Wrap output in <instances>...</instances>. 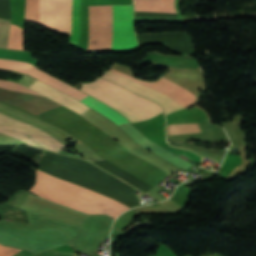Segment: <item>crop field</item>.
Masks as SVG:
<instances>
[{
  "label": "crop field",
  "mask_w": 256,
  "mask_h": 256,
  "mask_svg": "<svg viewBox=\"0 0 256 256\" xmlns=\"http://www.w3.org/2000/svg\"><path fill=\"white\" fill-rule=\"evenodd\" d=\"M139 48L133 27V5L90 6L89 50Z\"/></svg>",
  "instance_id": "1"
},
{
  "label": "crop field",
  "mask_w": 256,
  "mask_h": 256,
  "mask_svg": "<svg viewBox=\"0 0 256 256\" xmlns=\"http://www.w3.org/2000/svg\"><path fill=\"white\" fill-rule=\"evenodd\" d=\"M29 191L87 214L107 213L115 218L129 209L99 193L39 170L36 171V184Z\"/></svg>",
  "instance_id": "2"
},
{
  "label": "crop field",
  "mask_w": 256,
  "mask_h": 256,
  "mask_svg": "<svg viewBox=\"0 0 256 256\" xmlns=\"http://www.w3.org/2000/svg\"><path fill=\"white\" fill-rule=\"evenodd\" d=\"M82 91L117 109L131 122L150 119L163 113L156 103L138 97L100 78L91 83L83 84Z\"/></svg>",
  "instance_id": "3"
},
{
  "label": "crop field",
  "mask_w": 256,
  "mask_h": 256,
  "mask_svg": "<svg viewBox=\"0 0 256 256\" xmlns=\"http://www.w3.org/2000/svg\"><path fill=\"white\" fill-rule=\"evenodd\" d=\"M0 68L14 69V70H18V71L27 73L35 78H38V79L46 82V84L51 85L61 91L63 89H65L67 86H69V85H67V84H65V83L45 74V73L38 71L39 69L37 70L33 66L26 64V63L0 60ZM63 92L71 95L72 97H74L76 99L81 100L86 105L90 106L91 108H93V109L97 110L98 112H100L101 114L105 115L106 117H108L109 119H111L112 121L117 123L118 125L129 122L127 119H125V117H123L121 114L117 113L110 107L92 99L93 97L91 98L88 95H86L70 86L68 88H66Z\"/></svg>",
  "instance_id": "4"
},
{
  "label": "crop field",
  "mask_w": 256,
  "mask_h": 256,
  "mask_svg": "<svg viewBox=\"0 0 256 256\" xmlns=\"http://www.w3.org/2000/svg\"><path fill=\"white\" fill-rule=\"evenodd\" d=\"M0 133L59 153L65 146L48 134L0 113Z\"/></svg>",
  "instance_id": "5"
},
{
  "label": "crop field",
  "mask_w": 256,
  "mask_h": 256,
  "mask_svg": "<svg viewBox=\"0 0 256 256\" xmlns=\"http://www.w3.org/2000/svg\"><path fill=\"white\" fill-rule=\"evenodd\" d=\"M0 86L35 93L21 85L14 84L8 81H0ZM3 87H0V101H4L17 108L24 109L34 115H37L39 113H42L52 108L60 106L56 102L46 97L31 94V93L21 92L17 90L7 89Z\"/></svg>",
  "instance_id": "6"
},
{
  "label": "crop field",
  "mask_w": 256,
  "mask_h": 256,
  "mask_svg": "<svg viewBox=\"0 0 256 256\" xmlns=\"http://www.w3.org/2000/svg\"><path fill=\"white\" fill-rule=\"evenodd\" d=\"M71 0H40V25L70 34Z\"/></svg>",
  "instance_id": "7"
},
{
  "label": "crop field",
  "mask_w": 256,
  "mask_h": 256,
  "mask_svg": "<svg viewBox=\"0 0 256 256\" xmlns=\"http://www.w3.org/2000/svg\"><path fill=\"white\" fill-rule=\"evenodd\" d=\"M102 78L111 80L112 82H114L118 85H121V86L143 96V97H146L152 101L157 102L162 107L165 115L175 111L173 105L167 99H165L149 90H146L119 75H116L112 72H107V73H105V75Z\"/></svg>",
  "instance_id": "8"
},
{
  "label": "crop field",
  "mask_w": 256,
  "mask_h": 256,
  "mask_svg": "<svg viewBox=\"0 0 256 256\" xmlns=\"http://www.w3.org/2000/svg\"><path fill=\"white\" fill-rule=\"evenodd\" d=\"M137 11L171 12L170 1L136 0ZM172 12L174 0H171ZM134 9L136 10L135 0Z\"/></svg>",
  "instance_id": "9"
},
{
  "label": "crop field",
  "mask_w": 256,
  "mask_h": 256,
  "mask_svg": "<svg viewBox=\"0 0 256 256\" xmlns=\"http://www.w3.org/2000/svg\"><path fill=\"white\" fill-rule=\"evenodd\" d=\"M79 6H80V0H73L72 27H71V37L69 39V42L76 43V44H78L79 35H80Z\"/></svg>",
  "instance_id": "10"
},
{
  "label": "crop field",
  "mask_w": 256,
  "mask_h": 256,
  "mask_svg": "<svg viewBox=\"0 0 256 256\" xmlns=\"http://www.w3.org/2000/svg\"><path fill=\"white\" fill-rule=\"evenodd\" d=\"M25 21L39 24V0H26Z\"/></svg>",
  "instance_id": "11"
},
{
  "label": "crop field",
  "mask_w": 256,
  "mask_h": 256,
  "mask_svg": "<svg viewBox=\"0 0 256 256\" xmlns=\"http://www.w3.org/2000/svg\"><path fill=\"white\" fill-rule=\"evenodd\" d=\"M22 39H23L22 29L12 25L11 31H10V42H9L8 48L22 50Z\"/></svg>",
  "instance_id": "12"
},
{
  "label": "crop field",
  "mask_w": 256,
  "mask_h": 256,
  "mask_svg": "<svg viewBox=\"0 0 256 256\" xmlns=\"http://www.w3.org/2000/svg\"><path fill=\"white\" fill-rule=\"evenodd\" d=\"M200 132L197 124L168 126V134H186Z\"/></svg>",
  "instance_id": "13"
},
{
  "label": "crop field",
  "mask_w": 256,
  "mask_h": 256,
  "mask_svg": "<svg viewBox=\"0 0 256 256\" xmlns=\"http://www.w3.org/2000/svg\"><path fill=\"white\" fill-rule=\"evenodd\" d=\"M11 20L0 19V47L7 48Z\"/></svg>",
  "instance_id": "14"
},
{
  "label": "crop field",
  "mask_w": 256,
  "mask_h": 256,
  "mask_svg": "<svg viewBox=\"0 0 256 256\" xmlns=\"http://www.w3.org/2000/svg\"><path fill=\"white\" fill-rule=\"evenodd\" d=\"M194 154V153H193ZM196 155V154H195ZM196 156H198V155H196ZM199 158H201L200 156H198ZM202 159V158H201Z\"/></svg>",
  "instance_id": "15"
},
{
  "label": "crop field",
  "mask_w": 256,
  "mask_h": 256,
  "mask_svg": "<svg viewBox=\"0 0 256 256\" xmlns=\"http://www.w3.org/2000/svg\"><path fill=\"white\" fill-rule=\"evenodd\" d=\"M188 160H190V159H188ZM190 161H192V160H190ZM193 163H196V162H194V161H192Z\"/></svg>",
  "instance_id": "16"
}]
</instances>
